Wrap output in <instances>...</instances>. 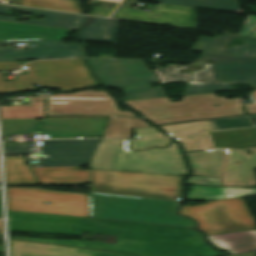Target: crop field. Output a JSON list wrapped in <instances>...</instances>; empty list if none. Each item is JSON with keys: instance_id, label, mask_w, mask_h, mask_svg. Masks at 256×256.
<instances>
[{"instance_id": "1", "label": "crop field", "mask_w": 256, "mask_h": 256, "mask_svg": "<svg viewBox=\"0 0 256 256\" xmlns=\"http://www.w3.org/2000/svg\"><path fill=\"white\" fill-rule=\"evenodd\" d=\"M9 231L118 236L116 245L81 241V247L133 256H221L189 228L145 223L8 211Z\"/></svg>"}, {"instance_id": "2", "label": "crop field", "mask_w": 256, "mask_h": 256, "mask_svg": "<svg viewBox=\"0 0 256 256\" xmlns=\"http://www.w3.org/2000/svg\"><path fill=\"white\" fill-rule=\"evenodd\" d=\"M225 98L210 93L184 96L177 102L168 97L122 102L157 125L245 115L242 98Z\"/></svg>"}, {"instance_id": "3", "label": "crop field", "mask_w": 256, "mask_h": 256, "mask_svg": "<svg viewBox=\"0 0 256 256\" xmlns=\"http://www.w3.org/2000/svg\"><path fill=\"white\" fill-rule=\"evenodd\" d=\"M180 202L90 193L91 217L194 228L190 219L179 217Z\"/></svg>"}, {"instance_id": "4", "label": "crop field", "mask_w": 256, "mask_h": 256, "mask_svg": "<svg viewBox=\"0 0 256 256\" xmlns=\"http://www.w3.org/2000/svg\"><path fill=\"white\" fill-rule=\"evenodd\" d=\"M92 172V190L176 200L182 196L181 176L131 172Z\"/></svg>"}, {"instance_id": "5", "label": "crop field", "mask_w": 256, "mask_h": 256, "mask_svg": "<svg viewBox=\"0 0 256 256\" xmlns=\"http://www.w3.org/2000/svg\"><path fill=\"white\" fill-rule=\"evenodd\" d=\"M27 66L28 74L14 81L4 82L0 73V93L33 89V84L60 87L63 91L98 86L82 59L43 61Z\"/></svg>"}, {"instance_id": "6", "label": "crop field", "mask_w": 256, "mask_h": 256, "mask_svg": "<svg viewBox=\"0 0 256 256\" xmlns=\"http://www.w3.org/2000/svg\"><path fill=\"white\" fill-rule=\"evenodd\" d=\"M96 76L110 87L121 86L127 96L122 100L164 96L161 87L150 89L158 79L142 61L88 59Z\"/></svg>"}, {"instance_id": "7", "label": "crop field", "mask_w": 256, "mask_h": 256, "mask_svg": "<svg viewBox=\"0 0 256 256\" xmlns=\"http://www.w3.org/2000/svg\"><path fill=\"white\" fill-rule=\"evenodd\" d=\"M7 196L8 210L90 217L89 194L7 188Z\"/></svg>"}, {"instance_id": "8", "label": "crop field", "mask_w": 256, "mask_h": 256, "mask_svg": "<svg viewBox=\"0 0 256 256\" xmlns=\"http://www.w3.org/2000/svg\"><path fill=\"white\" fill-rule=\"evenodd\" d=\"M180 213L199 221V229L207 235L256 229L254 218L240 198L208 201L201 206H183Z\"/></svg>"}, {"instance_id": "9", "label": "crop field", "mask_w": 256, "mask_h": 256, "mask_svg": "<svg viewBox=\"0 0 256 256\" xmlns=\"http://www.w3.org/2000/svg\"><path fill=\"white\" fill-rule=\"evenodd\" d=\"M50 97L49 114H101L136 116L117 109L115 100L105 91L86 90ZM138 117V116H136Z\"/></svg>"}, {"instance_id": "10", "label": "crop field", "mask_w": 256, "mask_h": 256, "mask_svg": "<svg viewBox=\"0 0 256 256\" xmlns=\"http://www.w3.org/2000/svg\"><path fill=\"white\" fill-rule=\"evenodd\" d=\"M235 37L245 40L243 45H233L230 49H223ZM192 50L204 52L197 62L215 59L214 63L256 64V38L253 37L235 35L215 37L213 39L201 37Z\"/></svg>"}, {"instance_id": "11", "label": "crop field", "mask_w": 256, "mask_h": 256, "mask_svg": "<svg viewBox=\"0 0 256 256\" xmlns=\"http://www.w3.org/2000/svg\"><path fill=\"white\" fill-rule=\"evenodd\" d=\"M100 140L42 141V151L49 155L43 167L88 165Z\"/></svg>"}, {"instance_id": "12", "label": "crop field", "mask_w": 256, "mask_h": 256, "mask_svg": "<svg viewBox=\"0 0 256 256\" xmlns=\"http://www.w3.org/2000/svg\"><path fill=\"white\" fill-rule=\"evenodd\" d=\"M112 17L198 29L195 8L164 3L153 6L149 12L118 8Z\"/></svg>"}, {"instance_id": "13", "label": "crop field", "mask_w": 256, "mask_h": 256, "mask_svg": "<svg viewBox=\"0 0 256 256\" xmlns=\"http://www.w3.org/2000/svg\"><path fill=\"white\" fill-rule=\"evenodd\" d=\"M35 44L36 47H31ZM28 50L15 51L14 48H0V62L32 59L85 57L79 44H65L61 40L28 41Z\"/></svg>"}, {"instance_id": "14", "label": "crop field", "mask_w": 256, "mask_h": 256, "mask_svg": "<svg viewBox=\"0 0 256 256\" xmlns=\"http://www.w3.org/2000/svg\"><path fill=\"white\" fill-rule=\"evenodd\" d=\"M106 122L103 118L44 119L36 131L49 134V138L99 137Z\"/></svg>"}, {"instance_id": "15", "label": "crop field", "mask_w": 256, "mask_h": 256, "mask_svg": "<svg viewBox=\"0 0 256 256\" xmlns=\"http://www.w3.org/2000/svg\"><path fill=\"white\" fill-rule=\"evenodd\" d=\"M227 160L223 175V186H251L256 184L253 169H256V148H249L253 155H247V149L225 148ZM240 162V164H236Z\"/></svg>"}, {"instance_id": "16", "label": "crop field", "mask_w": 256, "mask_h": 256, "mask_svg": "<svg viewBox=\"0 0 256 256\" xmlns=\"http://www.w3.org/2000/svg\"><path fill=\"white\" fill-rule=\"evenodd\" d=\"M11 9L45 17V19L22 21V22H18V23L35 24V25H43V26H52V27L71 29L76 26H81L87 21L86 17L76 15V14L21 8V7L7 6V5H0V14L10 15ZM0 20L16 22L15 17L0 16Z\"/></svg>"}, {"instance_id": "17", "label": "crop field", "mask_w": 256, "mask_h": 256, "mask_svg": "<svg viewBox=\"0 0 256 256\" xmlns=\"http://www.w3.org/2000/svg\"><path fill=\"white\" fill-rule=\"evenodd\" d=\"M12 256H125L70 247L26 243L11 240Z\"/></svg>"}, {"instance_id": "18", "label": "crop field", "mask_w": 256, "mask_h": 256, "mask_svg": "<svg viewBox=\"0 0 256 256\" xmlns=\"http://www.w3.org/2000/svg\"><path fill=\"white\" fill-rule=\"evenodd\" d=\"M40 184L91 183L90 170L80 167L32 168Z\"/></svg>"}, {"instance_id": "19", "label": "crop field", "mask_w": 256, "mask_h": 256, "mask_svg": "<svg viewBox=\"0 0 256 256\" xmlns=\"http://www.w3.org/2000/svg\"><path fill=\"white\" fill-rule=\"evenodd\" d=\"M190 66L202 67L196 73H180V69H187ZM190 66L180 67L178 65H169V68L159 67L156 71L162 84L166 82H187V84H197L201 82L213 81L211 63H195Z\"/></svg>"}, {"instance_id": "20", "label": "crop field", "mask_w": 256, "mask_h": 256, "mask_svg": "<svg viewBox=\"0 0 256 256\" xmlns=\"http://www.w3.org/2000/svg\"><path fill=\"white\" fill-rule=\"evenodd\" d=\"M207 239L216 248L226 250L230 254H238L256 250V230L207 236Z\"/></svg>"}, {"instance_id": "21", "label": "crop field", "mask_w": 256, "mask_h": 256, "mask_svg": "<svg viewBox=\"0 0 256 256\" xmlns=\"http://www.w3.org/2000/svg\"><path fill=\"white\" fill-rule=\"evenodd\" d=\"M191 166L195 169L194 175L207 177H221L223 168V151L210 150L202 152L187 153Z\"/></svg>"}, {"instance_id": "22", "label": "crop field", "mask_w": 256, "mask_h": 256, "mask_svg": "<svg viewBox=\"0 0 256 256\" xmlns=\"http://www.w3.org/2000/svg\"><path fill=\"white\" fill-rule=\"evenodd\" d=\"M213 77L223 83H248L256 89V65L214 64Z\"/></svg>"}, {"instance_id": "23", "label": "crop field", "mask_w": 256, "mask_h": 256, "mask_svg": "<svg viewBox=\"0 0 256 256\" xmlns=\"http://www.w3.org/2000/svg\"><path fill=\"white\" fill-rule=\"evenodd\" d=\"M118 20L94 17L92 22L79 32L80 40L115 43Z\"/></svg>"}, {"instance_id": "24", "label": "crop field", "mask_w": 256, "mask_h": 256, "mask_svg": "<svg viewBox=\"0 0 256 256\" xmlns=\"http://www.w3.org/2000/svg\"><path fill=\"white\" fill-rule=\"evenodd\" d=\"M256 190L244 188H212L206 186H194L188 194V200H216L234 197L255 196Z\"/></svg>"}, {"instance_id": "25", "label": "crop field", "mask_w": 256, "mask_h": 256, "mask_svg": "<svg viewBox=\"0 0 256 256\" xmlns=\"http://www.w3.org/2000/svg\"><path fill=\"white\" fill-rule=\"evenodd\" d=\"M6 185L37 184L23 157L6 158Z\"/></svg>"}, {"instance_id": "26", "label": "crop field", "mask_w": 256, "mask_h": 256, "mask_svg": "<svg viewBox=\"0 0 256 256\" xmlns=\"http://www.w3.org/2000/svg\"><path fill=\"white\" fill-rule=\"evenodd\" d=\"M152 126L142 119L111 117L106 127V138H132L131 128Z\"/></svg>"}, {"instance_id": "27", "label": "crop field", "mask_w": 256, "mask_h": 256, "mask_svg": "<svg viewBox=\"0 0 256 256\" xmlns=\"http://www.w3.org/2000/svg\"><path fill=\"white\" fill-rule=\"evenodd\" d=\"M242 13L235 0H146Z\"/></svg>"}, {"instance_id": "28", "label": "crop field", "mask_w": 256, "mask_h": 256, "mask_svg": "<svg viewBox=\"0 0 256 256\" xmlns=\"http://www.w3.org/2000/svg\"><path fill=\"white\" fill-rule=\"evenodd\" d=\"M80 4L73 0H21L19 5L82 14Z\"/></svg>"}, {"instance_id": "29", "label": "crop field", "mask_w": 256, "mask_h": 256, "mask_svg": "<svg viewBox=\"0 0 256 256\" xmlns=\"http://www.w3.org/2000/svg\"><path fill=\"white\" fill-rule=\"evenodd\" d=\"M162 128L173 136L201 133V132H207V131L213 130L209 121H199L195 123L167 125V126H162Z\"/></svg>"}, {"instance_id": "30", "label": "crop field", "mask_w": 256, "mask_h": 256, "mask_svg": "<svg viewBox=\"0 0 256 256\" xmlns=\"http://www.w3.org/2000/svg\"><path fill=\"white\" fill-rule=\"evenodd\" d=\"M2 124L3 136L11 133L35 132L37 127L36 119L2 120Z\"/></svg>"}, {"instance_id": "31", "label": "crop field", "mask_w": 256, "mask_h": 256, "mask_svg": "<svg viewBox=\"0 0 256 256\" xmlns=\"http://www.w3.org/2000/svg\"><path fill=\"white\" fill-rule=\"evenodd\" d=\"M180 142L184 144L186 152L210 150L212 146L210 144L207 134L196 136H184L176 137Z\"/></svg>"}, {"instance_id": "32", "label": "crop field", "mask_w": 256, "mask_h": 256, "mask_svg": "<svg viewBox=\"0 0 256 256\" xmlns=\"http://www.w3.org/2000/svg\"><path fill=\"white\" fill-rule=\"evenodd\" d=\"M230 90H234L232 84H222V81H213L197 85H187L186 95Z\"/></svg>"}, {"instance_id": "33", "label": "crop field", "mask_w": 256, "mask_h": 256, "mask_svg": "<svg viewBox=\"0 0 256 256\" xmlns=\"http://www.w3.org/2000/svg\"><path fill=\"white\" fill-rule=\"evenodd\" d=\"M210 122L214 130L253 126L249 116L232 119H218Z\"/></svg>"}, {"instance_id": "34", "label": "crop field", "mask_w": 256, "mask_h": 256, "mask_svg": "<svg viewBox=\"0 0 256 256\" xmlns=\"http://www.w3.org/2000/svg\"><path fill=\"white\" fill-rule=\"evenodd\" d=\"M169 138L139 139L130 141L129 149L141 150L150 146L165 147L169 144Z\"/></svg>"}, {"instance_id": "35", "label": "crop field", "mask_w": 256, "mask_h": 256, "mask_svg": "<svg viewBox=\"0 0 256 256\" xmlns=\"http://www.w3.org/2000/svg\"><path fill=\"white\" fill-rule=\"evenodd\" d=\"M187 184L190 185H206V186H212V187H221L220 179L216 178H206V177H197L192 176L190 177Z\"/></svg>"}, {"instance_id": "36", "label": "crop field", "mask_w": 256, "mask_h": 256, "mask_svg": "<svg viewBox=\"0 0 256 256\" xmlns=\"http://www.w3.org/2000/svg\"><path fill=\"white\" fill-rule=\"evenodd\" d=\"M31 154L30 145H4V155Z\"/></svg>"}, {"instance_id": "37", "label": "crop field", "mask_w": 256, "mask_h": 256, "mask_svg": "<svg viewBox=\"0 0 256 256\" xmlns=\"http://www.w3.org/2000/svg\"><path fill=\"white\" fill-rule=\"evenodd\" d=\"M239 35L256 37V16H248Z\"/></svg>"}, {"instance_id": "38", "label": "crop field", "mask_w": 256, "mask_h": 256, "mask_svg": "<svg viewBox=\"0 0 256 256\" xmlns=\"http://www.w3.org/2000/svg\"><path fill=\"white\" fill-rule=\"evenodd\" d=\"M21 240L27 241H36V242H46V243H58L60 245L74 246L80 248V241H72V240H61V239H27V238H17Z\"/></svg>"}, {"instance_id": "39", "label": "crop field", "mask_w": 256, "mask_h": 256, "mask_svg": "<svg viewBox=\"0 0 256 256\" xmlns=\"http://www.w3.org/2000/svg\"><path fill=\"white\" fill-rule=\"evenodd\" d=\"M134 131L138 135L137 138L165 136L163 133H161L159 130H157L153 126L152 127H147V128H141V129H134Z\"/></svg>"}, {"instance_id": "40", "label": "crop field", "mask_w": 256, "mask_h": 256, "mask_svg": "<svg viewBox=\"0 0 256 256\" xmlns=\"http://www.w3.org/2000/svg\"><path fill=\"white\" fill-rule=\"evenodd\" d=\"M114 11L112 8L93 6L92 14L108 17Z\"/></svg>"}, {"instance_id": "41", "label": "crop field", "mask_w": 256, "mask_h": 256, "mask_svg": "<svg viewBox=\"0 0 256 256\" xmlns=\"http://www.w3.org/2000/svg\"><path fill=\"white\" fill-rule=\"evenodd\" d=\"M19 66L18 62H4L0 63V71L1 70H11L15 67Z\"/></svg>"}, {"instance_id": "42", "label": "crop field", "mask_w": 256, "mask_h": 256, "mask_svg": "<svg viewBox=\"0 0 256 256\" xmlns=\"http://www.w3.org/2000/svg\"><path fill=\"white\" fill-rule=\"evenodd\" d=\"M0 45H15V42H0Z\"/></svg>"}, {"instance_id": "43", "label": "crop field", "mask_w": 256, "mask_h": 256, "mask_svg": "<svg viewBox=\"0 0 256 256\" xmlns=\"http://www.w3.org/2000/svg\"><path fill=\"white\" fill-rule=\"evenodd\" d=\"M0 233H3V226H2V220H0Z\"/></svg>"}, {"instance_id": "44", "label": "crop field", "mask_w": 256, "mask_h": 256, "mask_svg": "<svg viewBox=\"0 0 256 256\" xmlns=\"http://www.w3.org/2000/svg\"><path fill=\"white\" fill-rule=\"evenodd\" d=\"M0 218H2V211H1V196H0Z\"/></svg>"}, {"instance_id": "45", "label": "crop field", "mask_w": 256, "mask_h": 256, "mask_svg": "<svg viewBox=\"0 0 256 256\" xmlns=\"http://www.w3.org/2000/svg\"><path fill=\"white\" fill-rule=\"evenodd\" d=\"M251 117H252V119H253L254 123L256 124V115L251 116Z\"/></svg>"}, {"instance_id": "46", "label": "crop field", "mask_w": 256, "mask_h": 256, "mask_svg": "<svg viewBox=\"0 0 256 256\" xmlns=\"http://www.w3.org/2000/svg\"><path fill=\"white\" fill-rule=\"evenodd\" d=\"M79 27L74 28V30L78 29Z\"/></svg>"}]
</instances>
